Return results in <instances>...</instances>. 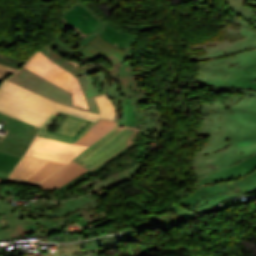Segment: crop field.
<instances>
[{"label":"crop field","instance_id":"crop-field-1","mask_svg":"<svg viewBox=\"0 0 256 256\" xmlns=\"http://www.w3.org/2000/svg\"><path fill=\"white\" fill-rule=\"evenodd\" d=\"M198 107L205 115L198 135L210 136L191 161L198 189L170 207L188 220L256 191V119L249 122L231 114L221 101Z\"/></svg>","mask_w":256,"mask_h":256},{"label":"crop field","instance_id":"crop-field-2","mask_svg":"<svg viewBox=\"0 0 256 256\" xmlns=\"http://www.w3.org/2000/svg\"><path fill=\"white\" fill-rule=\"evenodd\" d=\"M60 19L64 26L74 29L80 35L76 54H81L92 61L100 57L114 68L102 72L91 63L81 66L74 60H63V57L57 55L49 46L39 51L74 76L89 75L99 94L105 93L114 104L115 121L120 122L122 109L119 101L137 94L122 64L123 61L131 58L137 37L106 24L79 0L61 12Z\"/></svg>","mask_w":256,"mask_h":256},{"label":"crop field","instance_id":"crop-field-3","mask_svg":"<svg viewBox=\"0 0 256 256\" xmlns=\"http://www.w3.org/2000/svg\"><path fill=\"white\" fill-rule=\"evenodd\" d=\"M196 64L200 85L256 98V50Z\"/></svg>","mask_w":256,"mask_h":256},{"label":"crop field","instance_id":"crop-field-4","mask_svg":"<svg viewBox=\"0 0 256 256\" xmlns=\"http://www.w3.org/2000/svg\"><path fill=\"white\" fill-rule=\"evenodd\" d=\"M56 109L93 121L100 116L52 102L7 80L0 89V112L39 128Z\"/></svg>","mask_w":256,"mask_h":256},{"label":"crop field","instance_id":"crop-field-5","mask_svg":"<svg viewBox=\"0 0 256 256\" xmlns=\"http://www.w3.org/2000/svg\"><path fill=\"white\" fill-rule=\"evenodd\" d=\"M1 120L6 121L2 129L8 131L3 139L0 138V178L7 180L39 128L0 113Z\"/></svg>","mask_w":256,"mask_h":256},{"label":"crop field","instance_id":"crop-field-6","mask_svg":"<svg viewBox=\"0 0 256 256\" xmlns=\"http://www.w3.org/2000/svg\"><path fill=\"white\" fill-rule=\"evenodd\" d=\"M77 79L79 80L81 87L86 95L90 110L72 106L71 94L24 68H22L19 72L7 80L21 85L55 102L99 114V108L93 98V96L98 95V93L93 83L88 76H78Z\"/></svg>","mask_w":256,"mask_h":256},{"label":"crop field","instance_id":"crop-field-7","mask_svg":"<svg viewBox=\"0 0 256 256\" xmlns=\"http://www.w3.org/2000/svg\"><path fill=\"white\" fill-rule=\"evenodd\" d=\"M138 131L139 129L136 128L117 126L91 147L84 150L74 160L92 171L131 144L133 141L130 139Z\"/></svg>","mask_w":256,"mask_h":256},{"label":"crop field","instance_id":"crop-field-8","mask_svg":"<svg viewBox=\"0 0 256 256\" xmlns=\"http://www.w3.org/2000/svg\"><path fill=\"white\" fill-rule=\"evenodd\" d=\"M9 202H0V215L7 214L10 229L0 231V240L14 236H29L31 234L40 237H49L50 233L64 230H45L42 227H52V220L44 221V212L35 210L34 214L18 209Z\"/></svg>","mask_w":256,"mask_h":256},{"label":"crop field","instance_id":"crop-field-9","mask_svg":"<svg viewBox=\"0 0 256 256\" xmlns=\"http://www.w3.org/2000/svg\"><path fill=\"white\" fill-rule=\"evenodd\" d=\"M25 68L70 92L73 105L89 109L77 79L44 54L35 52L27 61Z\"/></svg>","mask_w":256,"mask_h":256},{"label":"crop field","instance_id":"crop-field-10","mask_svg":"<svg viewBox=\"0 0 256 256\" xmlns=\"http://www.w3.org/2000/svg\"><path fill=\"white\" fill-rule=\"evenodd\" d=\"M86 147L36 137L26 156L67 163Z\"/></svg>","mask_w":256,"mask_h":256},{"label":"crop field","instance_id":"crop-field-11","mask_svg":"<svg viewBox=\"0 0 256 256\" xmlns=\"http://www.w3.org/2000/svg\"><path fill=\"white\" fill-rule=\"evenodd\" d=\"M243 27V26H242ZM240 32L244 33L245 35L239 37L235 42H224L218 45H215L206 52L209 54L203 56H189V59L198 62L201 60H207L217 57H223L251 49L256 48V29L244 26L239 30Z\"/></svg>","mask_w":256,"mask_h":256},{"label":"crop field","instance_id":"crop-field-12","mask_svg":"<svg viewBox=\"0 0 256 256\" xmlns=\"http://www.w3.org/2000/svg\"><path fill=\"white\" fill-rule=\"evenodd\" d=\"M60 112L56 111L49 118V120L40 129L37 136L49 138L58 141L73 143L78 138L83 136L87 131H89L96 122H91L85 129H83L75 138L72 136L79 131L88 121L73 117L68 115L65 121L58 127L55 133L45 131L52 121L58 116Z\"/></svg>","mask_w":256,"mask_h":256},{"label":"crop field","instance_id":"crop-field-13","mask_svg":"<svg viewBox=\"0 0 256 256\" xmlns=\"http://www.w3.org/2000/svg\"><path fill=\"white\" fill-rule=\"evenodd\" d=\"M130 98L137 112L136 127L141 128V130L131 140L136 141L146 128L162 133L163 118L161 114L155 108L142 111L138 104L140 102L148 101V98L145 96V94L142 92Z\"/></svg>","mask_w":256,"mask_h":256},{"label":"crop field","instance_id":"crop-field-14","mask_svg":"<svg viewBox=\"0 0 256 256\" xmlns=\"http://www.w3.org/2000/svg\"><path fill=\"white\" fill-rule=\"evenodd\" d=\"M85 168L80 166L79 164L71 161L67 166L53 174L52 176L48 177L44 182L40 184H33L29 182H25L22 180L17 179H9L10 181H17V182H24L28 184H33L39 187H42L44 189H48L49 191L59 188L62 185L68 183L70 180L78 177L82 173L86 172Z\"/></svg>","mask_w":256,"mask_h":256},{"label":"crop field","instance_id":"crop-field-15","mask_svg":"<svg viewBox=\"0 0 256 256\" xmlns=\"http://www.w3.org/2000/svg\"><path fill=\"white\" fill-rule=\"evenodd\" d=\"M46 160L25 157L19 162L10 177L27 180L35 171H37Z\"/></svg>","mask_w":256,"mask_h":256},{"label":"crop field","instance_id":"crop-field-16","mask_svg":"<svg viewBox=\"0 0 256 256\" xmlns=\"http://www.w3.org/2000/svg\"><path fill=\"white\" fill-rule=\"evenodd\" d=\"M116 122L99 120L95 126L75 143L91 145L94 141L109 132Z\"/></svg>","mask_w":256,"mask_h":256},{"label":"crop field","instance_id":"crop-field-17","mask_svg":"<svg viewBox=\"0 0 256 256\" xmlns=\"http://www.w3.org/2000/svg\"><path fill=\"white\" fill-rule=\"evenodd\" d=\"M44 256H101L100 250L84 251L82 243L59 245L57 253H44Z\"/></svg>","mask_w":256,"mask_h":256},{"label":"crop field","instance_id":"crop-field-18","mask_svg":"<svg viewBox=\"0 0 256 256\" xmlns=\"http://www.w3.org/2000/svg\"><path fill=\"white\" fill-rule=\"evenodd\" d=\"M231 109L234 111V114L252 121L256 117V99L244 96L236 105H233Z\"/></svg>","mask_w":256,"mask_h":256},{"label":"crop field","instance_id":"crop-field-19","mask_svg":"<svg viewBox=\"0 0 256 256\" xmlns=\"http://www.w3.org/2000/svg\"><path fill=\"white\" fill-rule=\"evenodd\" d=\"M136 239H138V237L135 234V232H130V233H126V234L110 236L107 238H101L98 240L87 241V242L83 243V247H84V250L99 249V245H105V244H110V243H119V242L136 240Z\"/></svg>","mask_w":256,"mask_h":256},{"label":"crop field","instance_id":"crop-field-20","mask_svg":"<svg viewBox=\"0 0 256 256\" xmlns=\"http://www.w3.org/2000/svg\"><path fill=\"white\" fill-rule=\"evenodd\" d=\"M65 166L64 163L48 161L37 172H35L28 180L31 182H41L48 175L56 171L57 169Z\"/></svg>","mask_w":256,"mask_h":256},{"label":"crop field","instance_id":"crop-field-21","mask_svg":"<svg viewBox=\"0 0 256 256\" xmlns=\"http://www.w3.org/2000/svg\"><path fill=\"white\" fill-rule=\"evenodd\" d=\"M231 9L240 16L250 20L255 14L256 9L245 6L246 0H227Z\"/></svg>","mask_w":256,"mask_h":256},{"label":"crop field","instance_id":"crop-field-22","mask_svg":"<svg viewBox=\"0 0 256 256\" xmlns=\"http://www.w3.org/2000/svg\"><path fill=\"white\" fill-rule=\"evenodd\" d=\"M95 99L100 108V118L114 120L115 110L113 104L109 101V99L104 94L95 97Z\"/></svg>","mask_w":256,"mask_h":256},{"label":"crop field","instance_id":"crop-field-23","mask_svg":"<svg viewBox=\"0 0 256 256\" xmlns=\"http://www.w3.org/2000/svg\"><path fill=\"white\" fill-rule=\"evenodd\" d=\"M124 115L120 124L129 125L135 127L136 123V112L132 105L130 98L122 100ZM119 125V124H118Z\"/></svg>","mask_w":256,"mask_h":256},{"label":"crop field","instance_id":"crop-field-24","mask_svg":"<svg viewBox=\"0 0 256 256\" xmlns=\"http://www.w3.org/2000/svg\"><path fill=\"white\" fill-rule=\"evenodd\" d=\"M118 181L115 179L114 176H110V177H107L106 179L104 180H97V179H94L92 180L91 182L87 183L86 185H84L82 187V189L88 187L89 185H91L92 183L95 185V187L91 190V191H88L87 193H90V192H94L96 190H99V189H102V188H105V187H108L110 185H113L115 183H117Z\"/></svg>","mask_w":256,"mask_h":256},{"label":"crop field","instance_id":"crop-field-25","mask_svg":"<svg viewBox=\"0 0 256 256\" xmlns=\"http://www.w3.org/2000/svg\"><path fill=\"white\" fill-rule=\"evenodd\" d=\"M54 206H57V203L46 202V201H36V202H30L28 206L25 208V210L32 213L35 208L43 211H50L51 207H54Z\"/></svg>","mask_w":256,"mask_h":256},{"label":"crop field","instance_id":"crop-field-26","mask_svg":"<svg viewBox=\"0 0 256 256\" xmlns=\"http://www.w3.org/2000/svg\"><path fill=\"white\" fill-rule=\"evenodd\" d=\"M202 87L204 89H208L213 91L214 93H216L217 95H219L221 97V101L223 102V104L231 111V113L233 112L229 107L235 103H237L243 96V94H239V95H235V96H223L221 95L219 92H217V90L211 89V88H207L204 86H199Z\"/></svg>","mask_w":256,"mask_h":256},{"label":"crop field","instance_id":"crop-field-27","mask_svg":"<svg viewBox=\"0 0 256 256\" xmlns=\"http://www.w3.org/2000/svg\"><path fill=\"white\" fill-rule=\"evenodd\" d=\"M137 144L133 143L131 145H129L128 147H126L125 149H123L122 151H120L117 155H115L113 158H111L109 161H107L106 163L102 164L101 166L97 167L95 170H93V172H98L102 169H104L107 165L119 160L120 158L124 157L125 155H127Z\"/></svg>","mask_w":256,"mask_h":256},{"label":"crop field","instance_id":"crop-field-28","mask_svg":"<svg viewBox=\"0 0 256 256\" xmlns=\"http://www.w3.org/2000/svg\"><path fill=\"white\" fill-rule=\"evenodd\" d=\"M92 174H93V173L90 172V171L86 172L85 174L81 175L80 177H78V178H76V179L70 181L67 185H65V186H63V187H61V188H59V189H57V190H54V191H53L54 193H53L52 195L62 193L63 191H65V190H67V189L73 187L74 185H76V184H78L79 182L83 181L84 179L88 178V177L91 176ZM49 196H50V195H48V197H49Z\"/></svg>","mask_w":256,"mask_h":256},{"label":"crop field","instance_id":"crop-field-29","mask_svg":"<svg viewBox=\"0 0 256 256\" xmlns=\"http://www.w3.org/2000/svg\"><path fill=\"white\" fill-rule=\"evenodd\" d=\"M140 166H141V163H137L136 165H134L120 173L114 174V176L117 178V180L121 181L125 178L130 177L134 173H136L139 170Z\"/></svg>","mask_w":256,"mask_h":256},{"label":"crop field","instance_id":"crop-field-30","mask_svg":"<svg viewBox=\"0 0 256 256\" xmlns=\"http://www.w3.org/2000/svg\"><path fill=\"white\" fill-rule=\"evenodd\" d=\"M131 62H132V58H131L130 60L124 62V65H125V67H126L128 73H129V76H130V78H131V81H132V83H133V85H134L136 91L139 93V92H141L142 90H141V88L139 87V85H138V83H137L136 74H135V72H134V70H133V68H132V66H131Z\"/></svg>","mask_w":256,"mask_h":256},{"label":"crop field","instance_id":"crop-field-31","mask_svg":"<svg viewBox=\"0 0 256 256\" xmlns=\"http://www.w3.org/2000/svg\"><path fill=\"white\" fill-rule=\"evenodd\" d=\"M125 27L132 28L138 31L142 30H148V29H156V28H161L163 27L162 24H153V25H127V24H122Z\"/></svg>","mask_w":256,"mask_h":256},{"label":"crop field","instance_id":"crop-field-32","mask_svg":"<svg viewBox=\"0 0 256 256\" xmlns=\"http://www.w3.org/2000/svg\"><path fill=\"white\" fill-rule=\"evenodd\" d=\"M128 229H124L122 231H127ZM115 232H121L120 230H116V229H111V230H105V231H100V232H95V233H91V234H86L85 238H82L81 240L84 239H88L91 237H96V236H101V235H106V234H111V233H115ZM83 236V235H82Z\"/></svg>","mask_w":256,"mask_h":256},{"label":"crop field","instance_id":"crop-field-33","mask_svg":"<svg viewBox=\"0 0 256 256\" xmlns=\"http://www.w3.org/2000/svg\"><path fill=\"white\" fill-rule=\"evenodd\" d=\"M16 71H17V69H14V68H11V67H8V66L0 65V78L4 79V78L13 74Z\"/></svg>","mask_w":256,"mask_h":256},{"label":"crop field","instance_id":"crop-field-34","mask_svg":"<svg viewBox=\"0 0 256 256\" xmlns=\"http://www.w3.org/2000/svg\"><path fill=\"white\" fill-rule=\"evenodd\" d=\"M73 241H79V235H64V231H62L61 234V242H73Z\"/></svg>","mask_w":256,"mask_h":256},{"label":"crop field","instance_id":"crop-field-35","mask_svg":"<svg viewBox=\"0 0 256 256\" xmlns=\"http://www.w3.org/2000/svg\"><path fill=\"white\" fill-rule=\"evenodd\" d=\"M143 135H147V136L153 138L155 141L160 142L162 134L146 129L145 132L143 133Z\"/></svg>","mask_w":256,"mask_h":256},{"label":"crop field","instance_id":"crop-field-36","mask_svg":"<svg viewBox=\"0 0 256 256\" xmlns=\"http://www.w3.org/2000/svg\"><path fill=\"white\" fill-rule=\"evenodd\" d=\"M239 204H242V201H241L240 199H238V200H236V201H232V202L227 203V204H224L223 206L219 207L217 210H218V211H222V210H224V209H227V208H230V207L239 205Z\"/></svg>","mask_w":256,"mask_h":256},{"label":"crop field","instance_id":"crop-field-37","mask_svg":"<svg viewBox=\"0 0 256 256\" xmlns=\"http://www.w3.org/2000/svg\"><path fill=\"white\" fill-rule=\"evenodd\" d=\"M96 221L97 220H101V219H104V218H108L107 214L105 212L103 213H100V214H97V215H94L92 216ZM97 217H99V219H97Z\"/></svg>","mask_w":256,"mask_h":256},{"label":"crop field","instance_id":"crop-field-38","mask_svg":"<svg viewBox=\"0 0 256 256\" xmlns=\"http://www.w3.org/2000/svg\"><path fill=\"white\" fill-rule=\"evenodd\" d=\"M120 246H121L120 244H111V245H106V246H100V250L102 251L104 249L116 248V247H120Z\"/></svg>","mask_w":256,"mask_h":256},{"label":"crop field","instance_id":"crop-field-39","mask_svg":"<svg viewBox=\"0 0 256 256\" xmlns=\"http://www.w3.org/2000/svg\"><path fill=\"white\" fill-rule=\"evenodd\" d=\"M245 5L252 6L256 8V0H248Z\"/></svg>","mask_w":256,"mask_h":256},{"label":"crop field","instance_id":"crop-field-40","mask_svg":"<svg viewBox=\"0 0 256 256\" xmlns=\"http://www.w3.org/2000/svg\"><path fill=\"white\" fill-rule=\"evenodd\" d=\"M20 191H21V188H19V187H15L14 190H13V192L16 193L15 195H19ZM13 192H12V194H13Z\"/></svg>","mask_w":256,"mask_h":256},{"label":"crop field","instance_id":"crop-field-41","mask_svg":"<svg viewBox=\"0 0 256 256\" xmlns=\"http://www.w3.org/2000/svg\"><path fill=\"white\" fill-rule=\"evenodd\" d=\"M249 22H251L254 26H256V15Z\"/></svg>","mask_w":256,"mask_h":256},{"label":"crop field","instance_id":"crop-field-42","mask_svg":"<svg viewBox=\"0 0 256 256\" xmlns=\"http://www.w3.org/2000/svg\"><path fill=\"white\" fill-rule=\"evenodd\" d=\"M43 254L27 253V256H42Z\"/></svg>","mask_w":256,"mask_h":256},{"label":"crop field","instance_id":"crop-field-43","mask_svg":"<svg viewBox=\"0 0 256 256\" xmlns=\"http://www.w3.org/2000/svg\"><path fill=\"white\" fill-rule=\"evenodd\" d=\"M20 197L14 196L13 200H19Z\"/></svg>","mask_w":256,"mask_h":256},{"label":"crop field","instance_id":"crop-field-44","mask_svg":"<svg viewBox=\"0 0 256 256\" xmlns=\"http://www.w3.org/2000/svg\"><path fill=\"white\" fill-rule=\"evenodd\" d=\"M2 187L0 186V189H1Z\"/></svg>","mask_w":256,"mask_h":256}]
</instances>
